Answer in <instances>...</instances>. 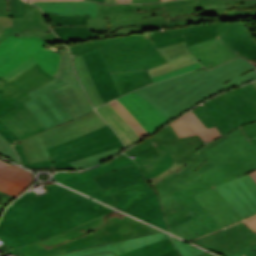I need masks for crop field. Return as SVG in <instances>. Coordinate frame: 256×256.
Segmentation results:
<instances>
[{
    "mask_svg": "<svg viewBox=\"0 0 256 256\" xmlns=\"http://www.w3.org/2000/svg\"><path fill=\"white\" fill-rule=\"evenodd\" d=\"M172 248L174 247L171 243V240L169 239L120 256H158Z\"/></svg>",
    "mask_w": 256,
    "mask_h": 256,
    "instance_id": "obj_43",
    "label": "crop field"
},
{
    "mask_svg": "<svg viewBox=\"0 0 256 256\" xmlns=\"http://www.w3.org/2000/svg\"><path fill=\"white\" fill-rule=\"evenodd\" d=\"M4 33L0 36V43L5 40L13 32V28L3 27Z\"/></svg>",
    "mask_w": 256,
    "mask_h": 256,
    "instance_id": "obj_59",
    "label": "crop field"
},
{
    "mask_svg": "<svg viewBox=\"0 0 256 256\" xmlns=\"http://www.w3.org/2000/svg\"><path fill=\"white\" fill-rule=\"evenodd\" d=\"M117 205L115 208L127 212L129 208L139 199L156 193L144 178L132 181L129 184L110 188Z\"/></svg>",
    "mask_w": 256,
    "mask_h": 256,
    "instance_id": "obj_26",
    "label": "crop field"
},
{
    "mask_svg": "<svg viewBox=\"0 0 256 256\" xmlns=\"http://www.w3.org/2000/svg\"><path fill=\"white\" fill-rule=\"evenodd\" d=\"M157 148L163 157L138 162L146 179L161 174L174 163L170 151L164 145Z\"/></svg>",
    "mask_w": 256,
    "mask_h": 256,
    "instance_id": "obj_39",
    "label": "crop field"
},
{
    "mask_svg": "<svg viewBox=\"0 0 256 256\" xmlns=\"http://www.w3.org/2000/svg\"><path fill=\"white\" fill-rule=\"evenodd\" d=\"M33 175L15 165L0 161V190L18 197L33 182Z\"/></svg>",
    "mask_w": 256,
    "mask_h": 256,
    "instance_id": "obj_25",
    "label": "crop field"
},
{
    "mask_svg": "<svg viewBox=\"0 0 256 256\" xmlns=\"http://www.w3.org/2000/svg\"><path fill=\"white\" fill-rule=\"evenodd\" d=\"M53 78L38 63L10 82L0 76V94L19 106L1 117L0 121L20 140L46 129L23 103L31 98L25 93Z\"/></svg>",
    "mask_w": 256,
    "mask_h": 256,
    "instance_id": "obj_7",
    "label": "crop field"
},
{
    "mask_svg": "<svg viewBox=\"0 0 256 256\" xmlns=\"http://www.w3.org/2000/svg\"><path fill=\"white\" fill-rule=\"evenodd\" d=\"M127 213L167 230L157 193L136 202Z\"/></svg>",
    "mask_w": 256,
    "mask_h": 256,
    "instance_id": "obj_29",
    "label": "crop field"
},
{
    "mask_svg": "<svg viewBox=\"0 0 256 256\" xmlns=\"http://www.w3.org/2000/svg\"><path fill=\"white\" fill-rule=\"evenodd\" d=\"M169 238H170L169 235H166L163 232H161L154 235L134 238V239L125 240L117 243H112V244L98 246L90 249L67 253L59 256H81V255L93 254V253L104 252V251H114V252H111L109 254H101L97 256H115V254L120 255V254L129 252L150 244H154Z\"/></svg>",
    "mask_w": 256,
    "mask_h": 256,
    "instance_id": "obj_24",
    "label": "crop field"
},
{
    "mask_svg": "<svg viewBox=\"0 0 256 256\" xmlns=\"http://www.w3.org/2000/svg\"><path fill=\"white\" fill-rule=\"evenodd\" d=\"M119 140L120 139L115 134V135H112L110 137L101 139L99 141H96V142L87 144L85 146L79 147V148L74 149V150H72L70 152H67L65 154H62V155L59 154L60 156L53 157V158H51V160L43 161V162H37V163H32V164L28 163V160L26 158V154H25V152L23 150V147H22L20 142L15 144L14 148L18 152V154H19V156H20V158H21V160L23 162V165H25V166H27L29 168H38V167H50V166H53L52 162H54V161H58V160H61V159H64V158H68V157L74 156L76 154H79V153H82V152H85V151H88V150H91V149H94V148H97V147H100V146H103V145H106V144H109V143H113V142H116V141H119Z\"/></svg>",
    "mask_w": 256,
    "mask_h": 256,
    "instance_id": "obj_35",
    "label": "crop field"
},
{
    "mask_svg": "<svg viewBox=\"0 0 256 256\" xmlns=\"http://www.w3.org/2000/svg\"><path fill=\"white\" fill-rule=\"evenodd\" d=\"M55 77L68 83L54 90V92L60 97L75 118L94 111L72 69L67 47L62 48L59 69Z\"/></svg>",
    "mask_w": 256,
    "mask_h": 256,
    "instance_id": "obj_13",
    "label": "crop field"
},
{
    "mask_svg": "<svg viewBox=\"0 0 256 256\" xmlns=\"http://www.w3.org/2000/svg\"><path fill=\"white\" fill-rule=\"evenodd\" d=\"M26 1H36V0H26Z\"/></svg>",
    "mask_w": 256,
    "mask_h": 256,
    "instance_id": "obj_73",
    "label": "crop field"
},
{
    "mask_svg": "<svg viewBox=\"0 0 256 256\" xmlns=\"http://www.w3.org/2000/svg\"><path fill=\"white\" fill-rule=\"evenodd\" d=\"M104 3H115V0H104Z\"/></svg>",
    "mask_w": 256,
    "mask_h": 256,
    "instance_id": "obj_66",
    "label": "crop field"
},
{
    "mask_svg": "<svg viewBox=\"0 0 256 256\" xmlns=\"http://www.w3.org/2000/svg\"><path fill=\"white\" fill-rule=\"evenodd\" d=\"M150 36L155 42L157 48L181 41H186L189 46L216 37L217 28L215 23L151 33Z\"/></svg>",
    "mask_w": 256,
    "mask_h": 256,
    "instance_id": "obj_20",
    "label": "crop field"
},
{
    "mask_svg": "<svg viewBox=\"0 0 256 256\" xmlns=\"http://www.w3.org/2000/svg\"><path fill=\"white\" fill-rule=\"evenodd\" d=\"M160 256H179V254L177 253L176 249L174 248Z\"/></svg>",
    "mask_w": 256,
    "mask_h": 256,
    "instance_id": "obj_61",
    "label": "crop field"
},
{
    "mask_svg": "<svg viewBox=\"0 0 256 256\" xmlns=\"http://www.w3.org/2000/svg\"><path fill=\"white\" fill-rule=\"evenodd\" d=\"M82 55L104 102L106 103L120 96L99 50L90 51Z\"/></svg>",
    "mask_w": 256,
    "mask_h": 256,
    "instance_id": "obj_21",
    "label": "crop field"
},
{
    "mask_svg": "<svg viewBox=\"0 0 256 256\" xmlns=\"http://www.w3.org/2000/svg\"><path fill=\"white\" fill-rule=\"evenodd\" d=\"M217 28L218 37L228 49L250 62L256 59V43L248 37L243 22L217 23Z\"/></svg>",
    "mask_w": 256,
    "mask_h": 256,
    "instance_id": "obj_19",
    "label": "crop field"
},
{
    "mask_svg": "<svg viewBox=\"0 0 256 256\" xmlns=\"http://www.w3.org/2000/svg\"><path fill=\"white\" fill-rule=\"evenodd\" d=\"M120 2H131V0H117L116 3H120Z\"/></svg>",
    "mask_w": 256,
    "mask_h": 256,
    "instance_id": "obj_67",
    "label": "crop field"
},
{
    "mask_svg": "<svg viewBox=\"0 0 256 256\" xmlns=\"http://www.w3.org/2000/svg\"><path fill=\"white\" fill-rule=\"evenodd\" d=\"M193 63H197V60L191 55H186L183 57H180L178 59H175L173 61H170L168 63H165L161 66H158L156 68L153 69H149L148 72L151 76V78L167 73L169 71L193 64Z\"/></svg>",
    "mask_w": 256,
    "mask_h": 256,
    "instance_id": "obj_41",
    "label": "crop field"
},
{
    "mask_svg": "<svg viewBox=\"0 0 256 256\" xmlns=\"http://www.w3.org/2000/svg\"><path fill=\"white\" fill-rule=\"evenodd\" d=\"M108 124L117 132L128 147L142 138L125 122L122 116L109 104L96 109Z\"/></svg>",
    "mask_w": 256,
    "mask_h": 256,
    "instance_id": "obj_31",
    "label": "crop field"
},
{
    "mask_svg": "<svg viewBox=\"0 0 256 256\" xmlns=\"http://www.w3.org/2000/svg\"><path fill=\"white\" fill-rule=\"evenodd\" d=\"M244 256V255H243Z\"/></svg>",
    "mask_w": 256,
    "mask_h": 256,
    "instance_id": "obj_76",
    "label": "crop field"
},
{
    "mask_svg": "<svg viewBox=\"0 0 256 256\" xmlns=\"http://www.w3.org/2000/svg\"><path fill=\"white\" fill-rule=\"evenodd\" d=\"M157 50L168 61L178 58L180 56L189 54L184 42L166 46V47H162V48H158Z\"/></svg>",
    "mask_w": 256,
    "mask_h": 256,
    "instance_id": "obj_48",
    "label": "crop field"
},
{
    "mask_svg": "<svg viewBox=\"0 0 256 256\" xmlns=\"http://www.w3.org/2000/svg\"><path fill=\"white\" fill-rule=\"evenodd\" d=\"M75 71L94 107L100 106L103 103L89 73L82 55L73 58Z\"/></svg>",
    "mask_w": 256,
    "mask_h": 256,
    "instance_id": "obj_40",
    "label": "crop field"
},
{
    "mask_svg": "<svg viewBox=\"0 0 256 256\" xmlns=\"http://www.w3.org/2000/svg\"><path fill=\"white\" fill-rule=\"evenodd\" d=\"M254 79L255 67L245 59L237 58L209 71L201 68L134 92L170 121L200 101Z\"/></svg>",
    "mask_w": 256,
    "mask_h": 256,
    "instance_id": "obj_3",
    "label": "crop field"
},
{
    "mask_svg": "<svg viewBox=\"0 0 256 256\" xmlns=\"http://www.w3.org/2000/svg\"><path fill=\"white\" fill-rule=\"evenodd\" d=\"M246 256H256V251L255 250H253V251H251V252H249V253H247V254H245Z\"/></svg>",
    "mask_w": 256,
    "mask_h": 256,
    "instance_id": "obj_65",
    "label": "crop field"
},
{
    "mask_svg": "<svg viewBox=\"0 0 256 256\" xmlns=\"http://www.w3.org/2000/svg\"><path fill=\"white\" fill-rule=\"evenodd\" d=\"M64 84L66 83L55 78L27 93L32 98L24 104L41 120L47 129L74 119L58 96L52 91Z\"/></svg>",
    "mask_w": 256,
    "mask_h": 256,
    "instance_id": "obj_11",
    "label": "crop field"
},
{
    "mask_svg": "<svg viewBox=\"0 0 256 256\" xmlns=\"http://www.w3.org/2000/svg\"><path fill=\"white\" fill-rule=\"evenodd\" d=\"M199 67H202L201 64H199V63L193 64V65H190V66H187V67H184V68H181V69H178V70L169 72V73H167V74L158 76V77H156V78H153V81H154V83H156V82H158V81H160V80H163V79H166V78L175 76V75H179V74H182V73L191 71V70L196 69V68H199Z\"/></svg>",
    "mask_w": 256,
    "mask_h": 256,
    "instance_id": "obj_52",
    "label": "crop field"
},
{
    "mask_svg": "<svg viewBox=\"0 0 256 256\" xmlns=\"http://www.w3.org/2000/svg\"><path fill=\"white\" fill-rule=\"evenodd\" d=\"M106 125L101 116L94 112L56 128L21 141L30 163L50 159L46 148L61 144L74 137L91 132Z\"/></svg>",
    "mask_w": 256,
    "mask_h": 256,
    "instance_id": "obj_10",
    "label": "crop field"
},
{
    "mask_svg": "<svg viewBox=\"0 0 256 256\" xmlns=\"http://www.w3.org/2000/svg\"><path fill=\"white\" fill-rule=\"evenodd\" d=\"M158 0H132V3L157 2Z\"/></svg>",
    "mask_w": 256,
    "mask_h": 256,
    "instance_id": "obj_62",
    "label": "crop field"
},
{
    "mask_svg": "<svg viewBox=\"0 0 256 256\" xmlns=\"http://www.w3.org/2000/svg\"><path fill=\"white\" fill-rule=\"evenodd\" d=\"M112 134H115V132L108 125H106L100 129H97V130L91 132V133L74 138L68 142L61 144V145L48 148L47 150H48L50 156L52 157V156H56V155L65 153V152L72 150L74 148H77L79 146L85 145L87 143L96 141L98 139L110 136Z\"/></svg>",
    "mask_w": 256,
    "mask_h": 256,
    "instance_id": "obj_38",
    "label": "crop field"
},
{
    "mask_svg": "<svg viewBox=\"0 0 256 256\" xmlns=\"http://www.w3.org/2000/svg\"><path fill=\"white\" fill-rule=\"evenodd\" d=\"M46 189L49 193L37 197L32 191L7 208L0 221L3 244L15 248L113 211L59 185H50Z\"/></svg>",
    "mask_w": 256,
    "mask_h": 256,
    "instance_id": "obj_2",
    "label": "crop field"
},
{
    "mask_svg": "<svg viewBox=\"0 0 256 256\" xmlns=\"http://www.w3.org/2000/svg\"><path fill=\"white\" fill-rule=\"evenodd\" d=\"M201 256H213V255H211V254H209V253H206V254L201 255Z\"/></svg>",
    "mask_w": 256,
    "mask_h": 256,
    "instance_id": "obj_68",
    "label": "crop field"
},
{
    "mask_svg": "<svg viewBox=\"0 0 256 256\" xmlns=\"http://www.w3.org/2000/svg\"><path fill=\"white\" fill-rule=\"evenodd\" d=\"M222 256L256 242V234L243 222L192 241Z\"/></svg>",
    "mask_w": 256,
    "mask_h": 256,
    "instance_id": "obj_15",
    "label": "crop field"
},
{
    "mask_svg": "<svg viewBox=\"0 0 256 256\" xmlns=\"http://www.w3.org/2000/svg\"><path fill=\"white\" fill-rule=\"evenodd\" d=\"M236 2L243 4H256V0H198L197 9L236 7Z\"/></svg>",
    "mask_w": 256,
    "mask_h": 256,
    "instance_id": "obj_45",
    "label": "crop field"
},
{
    "mask_svg": "<svg viewBox=\"0 0 256 256\" xmlns=\"http://www.w3.org/2000/svg\"><path fill=\"white\" fill-rule=\"evenodd\" d=\"M15 104L11 103L3 96L0 95V117L9 111L16 108ZM0 133L5 137V139L12 145L20 141L4 124L0 122Z\"/></svg>",
    "mask_w": 256,
    "mask_h": 256,
    "instance_id": "obj_44",
    "label": "crop field"
},
{
    "mask_svg": "<svg viewBox=\"0 0 256 256\" xmlns=\"http://www.w3.org/2000/svg\"><path fill=\"white\" fill-rule=\"evenodd\" d=\"M255 249L256 250V244H253L251 246H248L246 248H243V249H240L238 251H235L233 253H231L232 256H242L244 253L248 252V251H251Z\"/></svg>",
    "mask_w": 256,
    "mask_h": 256,
    "instance_id": "obj_57",
    "label": "crop field"
},
{
    "mask_svg": "<svg viewBox=\"0 0 256 256\" xmlns=\"http://www.w3.org/2000/svg\"><path fill=\"white\" fill-rule=\"evenodd\" d=\"M256 60L252 61L251 63L255 64ZM256 65V64H255Z\"/></svg>",
    "mask_w": 256,
    "mask_h": 256,
    "instance_id": "obj_71",
    "label": "crop field"
},
{
    "mask_svg": "<svg viewBox=\"0 0 256 256\" xmlns=\"http://www.w3.org/2000/svg\"><path fill=\"white\" fill-rule=\"evenodd\" d=\"M39 37L42 38L44 41L50 43L51 45L62 42L53 32Z\"/></svg>",
    "mask_w": 256,
    "mask_h": 256,
    "instance_id": "obj_54",
    "label": "crop field"
},
{
    "mask_svg": "<svg viewBox=\"0 0 256 256\" xmlns=\"http://www.w3.org/2000/svg\"><path fill=\"white\" fill-rule=\"evenodd\" d=\"M154 144L156 147L164 144L171 151L175 163L186 162L198 148L205 145L198 135L154 142Z\"/></svg>",
    "mask_w": 256,
    "mask_h": 256,
    "instance_id": "obj_33",
    "label": "crop field"
},
{
    "mask_svg": "<svg viewBox=\"0 0 256 256\" xmlns=\"http://www.w3.org/2000/svg\"><path fill=\"white\" fill-rule=\"evenodd\" d=\"M176 248L179 250V252L182 256H196V255L206 253V252H204L186 242L176 246Z\"/></svg>",
    "mask_w": 256,
    "mask_h": 256,
    "instance_id": "obj_50",
    "label": "crop field"
},
{
    "mask_svg": "<svg viewBox=\"0 0 256 256\" xmlns=\"http://www.w3.org/2000/svg\"><path fill=\"white\" fill-rule=\"evenodd\" d=\"M0 15L9 16L6 9V0H0Z\"/></svg>",
    "mask_w": 256,
    "mask_h": 256,
    "instance_id": "obj_60",
    "label": "crop field"
},
{
    "mask_svg": "<svg viewBox=\"0 0 256 256\" xmlns=\"http://www.w3.org/2000/svg\"><path fill=\"white\" fill-rule=\"evenodd\" d=\"M37 4L43 12L69 15L90 14L97 18V3L94 2H32Z\"/></svg>",
    "mask_w": 256,
    "mask_h": 256,
    "instance_id": "obj_32",
    "label": "crop field"
},
{
    "mask_svg": "<svg viewBox=\"0 0 256 256\" xmlns=\"http://www.w3.org/2000/svg\"><path fill=\"white\" fill-rule=\"evenodd\" d=\"M250 175L256 181V171L251 173ZM244 221L246 224H248L250 227H252L256 231V216L246 219Z\"/></svg>",
    "mask_w": 256,
    "mask_h": 256,
    "instance_id": "obj_56",
    "label": "crop field"
},
{
    "mask_svg": "<svg viewBox=\"0 0 256 256\" xmlns=\"http://www.w3.org/2000/svg\"><path fill=\"white\" fill-rule=\"evenodd\" d=\"M117 99L149 134L169 122L153 105L134 92Z\"/></svg>",
    "mask_w": 256,
    "mask_h": 256,
    "instance_id": "obj_18",
    "label": "crop field"
},
{
    "mask_svg": "<svg viewBox=\"0 0 256 256\" xmlns=\"http://www.w3.org/2000/svg\"><path fill=\"white\" fill-rule=\"evenodd\" d=\"M192 111L207 128L216 126L223 138L201 147L216 165L199 175L204 180L179 189L185 197L256 170V88L252 83Z\"/></svg>",
    "mask_w": 256,
    "mask_h": 256,
    "instance_id": "obj_1",
    "label": "crop field"
},
{
    "mask_svg": "<svg viewBox=\"0 0 256 256\" xmlns=\"http://www.w3.org/2000/svg\"><path fill=\"white\" fill-rule=\"evenodd\" d=\"M244 27H245V29H246V31H247L249 37H250L251 39H253V40L256 42V39L253 38V37L250 35V33H249L248 29H247V26H246V22H244Z\"/></svg>",
    "mask_w": 256,
    "mask_h": 256,
    "instance_id": "obj_64",
    "label": "crop field"
},
{
    "mask_svg": "<svg viewBox=\"0 0 256 256\" xmlns=\"http://www.w3.org/2000/svg\"><path fill=\"white\" fill-rule=\"evenodd\" d=\"M183 164V163H180ZM180 164H174L161 175L148 179L149 183L158 191L169 229L192 218L172 197L171 192L202 180L198 175L215 165L201 150L189 166L177 174L170 170L178 169Z\"/></svg>",
    "mask_w": 256,
    "mask_h": 256,
    "instance_id": "obj_8",
    "label": "crop field"
},
{
    "mask_svg": "<svg viewBox=\"0 0 256 256\" xmlns=\"http://www.w3.org/2000/svg\"><path fill=\"white\" fill-rule=\"evenodd\" d=\"M171 237H172V236H171ZM172 240H173L175 246L183 242V241H181V240H179V239H176V238H174V237H172Z\"/></svg>",
    "mask_w": 256,
    "mask_h": 256,
    "instance_id": "obj_63",
    "label": "crop field"
},
{
    "mask_svg": "<svg viewBox=\"0 0 256 256\" xmlns=\"http://www.w3.org/2000/svg\"><path fill=\"white\" fill-rule=\"evenodd\" d=\"M120 95L153 84L147 70L111 73Z\"/></svg>",
    "mask_w": 256,
    "mask_h": 256,
    "instance_id": "obj_36",
    "label": "crop field"
},
{
    "mask_svg": "<svg viewBox=\"0 0 256 256\" xmlns=\"http://www.w3.org/2000/svg\"><path fill=\"white\" fill-rule=\"evenodd\" d=\"M97 48L110 72L144 70L167 62L157 52L149 34L82 43L69 49L76 56Z\"/></svg>",
    "mask_w": 256,
    "mask_h": 256,
    "instance_id": "obj_6",
    "label": "crop field"
},
{
    "mask_svg": "<svg viewBox=\"0 0 256 256\" xmlns=\"http://www.w3.org/2000/svg\"><path fill=\"white\" fill-rule=\"evenodd\" d=\"M256 233V232H255Z\"/></svg>",
    "mask_w": 256,
    "mask_h": 256,
    "instance_id": "obj_75",
    "label": "crop field"
},
{
    "mask_svg": "<svg viewBox=\"0 0 256 256\" xmlns=\"http://www.w3.org/2000/svg\"><path fill=\"white\" fill-rule=\"evenodd\" d=\"M170 124L179 137L198 134L207 143L222 137L216 127L207 129L192 111Z\"/></svg>",
    "mask_w": 256,
    "mask_h": 256,
    "instance_id": "obj_27",
    "label": "crop field"
},
{
    "mask_svg": "<svg viewBox=\"0 0 256 256\" xmlns=\"http://www.w3.org/2000/svg\"><path fill=\"white\" fill-rule=\"evenodd\" d=\"M172 195L194 217L170 229L172 233L191 240L222 228L193 196L185 198L178 190L173 192ZM195 234H198V236H195Z\"/></svg>",
    "mask_w": 256,
    "mask_h": 256,
    "instance_id": "obj_14",
    "label": "crop field"
},
{
    "mask_svg": "<svg viewBox=\"0 0 256 256\" xmlns=\"http://www.w3.org/2000/svg\"><path fill=\"white\" fill-rule=\"evenodd\" d=\"M188 48L196 59L207 69H211L238 57V55L228 50L220 42L218 37L189 46Z\"/></svg>",
    "mask_w": 256,
    "mask_h": 256,
    "instance_id": "obj_23",
    "label": "crop field"
},
{
    "mask_svg": "<svg viewBox=\"0 0 256 256\" xmlns=\"http://www.w3.org/2000/svg\"><path fill=\"white\" fill-rule=\"evenodd\" d=\"M122 149H123V147L119 148V149H115V150L106 151V152L100 153L98 155H95V156H92L89 158H85L83 160L71 162V164L73 165L74 168H78V169L87 168L88 166H93L97 163L105 161L107 158L121 152Z\"/></svg>",
    "mask_w": 256,
    "mask_h": 256,
    "instance_id": "obj_46",
    "label": "crop field"
},
{
    "mask_svg": "<svg viewBox=\"0 0 256 256\" xmlns=\"http://www.w3.org/2000/svg\"><path fill=\"white\" fill-rule=\"evenodd\" d=\"M126 120V122L143 138L148 133L138 123V121L118 102L117 99L109 102Z\"/></svg>",
    "mask_w": 256,
    "mask_h": 256,
    "instance_id": "obj_47",
    "label": "crop field"
},
{
    "mask_svg": "<svg viewBox=\"0 0 256 256\" xmlns=\"http://www.w3.org/2000/svg\"><path fill=\"white\" fill-rule=\"evenodd\" d=\"M122 146H123L122 142L119 141V142H116V143H113V144H109V145H106V146H103V147H100V148H97V149L79 154L77 156H74V157H71V158H68V159H64V160H61V161H58V162H54L53 165L57 168V170H59V169H73V170H75L69 162L79 160V159L84 158V157L92 156V155L98 154L100 152L109 150V149L119 148V147H122Z\"/></svg>",
    "mask_w": 256,
    "mask_h": 256,
    "instance_id": "obj_42",
    "label": "crop field"
},
{
    "mask_svg": "<svg viewBox=\"0 0 256 256\" xmlns=\"http://www.w3.org/2000/svg\"><path fill=\"white\" fill-rule=\"evenodd\" d=\"M3 33L2 27H0V35Z\"/></svg>",
    "mask_w": 256,
    "mask_h": 256,
    "instance_id": "obj_69",
    "label": "crop field"
},
{
    "mask_svg": "<svg viewBox=\"0 0 256 256\" xmlns=\"http://www.w3.org/2000/svg\"><path fill=\"white\" fill-rule=\"evenodd\" d=\"M25 3V18H14V33L21 35H39L51 31L36 6Z\"/></svg>",
    "mask_w": 256,
    "mask_h": 256,
    "instance_id": "obj_28",
    "label": "crop field"
},
{
    "mask_svg": "<svg viewBox=\"0 0 256 256\" xmlns=\"http://www.w3.org/2000/svg\"><path fill=\"white\" fill-rule=\"evenodd\" d=\"M163 8L161 3L147 5L119 4L102 5L98 3V18L109 17L110 24L122 20L137 19L136 10Z\"/></svg>",
    "mask_w": 256,
    "mask_h": 256,
    "instance_id": "obj_30",
    "label": "crop field"
},
{
    "mask_svg": "<svg viewBox=\"0 0 256 256\" xmlns=\"http://www.w3.org/2000/svg\"><path fill=\"white\" fill-rule=\"evenodd\" d=\"M141 177H143V174L141 173L137 164L134 163L118 171L97 176L95 177V180L102 189L106 187H115L117 185L125 184Z\"/></svg>",
    "mask_w": 256,
    "mask_h": 256,
    "instance_id": "obj_37",
    "label": "crop field"
},
{
    "mask_svg": "<svg viewBox=\"0 0 256 256\" xmlns=\"http://www.w3.org/2000/svg\"><path fill=\"white\" fill-rule=\"evenodd\" d=\"M0 154L10 158L11 160L20 164V161L14 152L12 146L0 134Z\"/></svg>",
    "mask_w": 256,
    "mask_h": 256,
    "instance_id": "obj_49",
    "label": "crop field"
},
{
    "mask_svg": "<svg viewBox=\"0 0 256 256\" xmlns=\"http://www.w3.org/2000/svg\"><path fill=\"white\" fill-rule=\"evenodd\" d=\"M10 16L11 17H24V2L21 0H10Z\"/></svg>",
    "mask_w": 256,
    "mask_h": 256,
    "instance_id": "obj_51",
    "label": "crop field"
},
{
    "mask_svg": "<svg viewBox=\"0 0 256 256\" xmlns=\"http://www.w3.org/2000/svg\"><path fill=\"white\" fill-rule=\"evenodd\" d=\"M35 63H37L33 58L30 59L29 61H27L26 63L22 64L21 66H19L18 68L14 69L13 71H11L9 74H7L5 77L6 80H11L12 78H14L15 76L19 75L20 73H22L23 71H25L26 69H28L29 67H31L32 65H34ZM10 82V81H9Z\"/></svg>",
    "mask_w": 256,
    "mask_h": 256,
    "instance_id": "obj_53",
    "label": "crop field"
},
{
    "mask_svg": "<svg viewBox=\"0 0 256 256\" xmlns=\"http://www.w3.org/2000/svg\"><path fill=\"white\" fill-rule=\"evenodd\" d=\"M102 217L46 241L15 248V250L19 256H51L105 242H116L159 232L127 216L122 220L113 217L107 222L103 221Z\"/></svg>",
    "mask_w": 256,
    "mask_h": 256,
    "instance_id": "obj_4",
    "label": "crop field"
},
{
    "mask_svg": "<svg viewBox=\"0 0 256 256\" xmlns=\"http://www.w3.org/2000/svg\"><path fill=\"white\" fill-rule=\"evenodd\" d=\"M132 163H134V161L131 158L121 154L116 159L83 173H57L55 174L54 178L70 187H73L99 201L114 207L117 203L109 188L101 190L93 177L103 173H108L110 171L118 170Z\"/></svg>",
    "mask_w": 256,
    "mask_h": 256,
    "instance_id": "obj_12",
    "label": "crop field"
},
{
    "mask_svg": "<svg viewBox=\"0 0 256 256\" xmlns=\"http://www.w3.org/2000/svg\"><path fill=\"white\" fill-rule=\"evenodd\" d=\"M194 197L205 206L223 228L243 220L214 187L204 190Z\"/></svg>",
    "mask_w": 256,
    "mask_h": 256,
    "instance_id": "obj_22",
    "label": "crop field"
},
{
    "mask_svg": "<svg viewBox=\"0 0 256 256\" xmlns=\"http://www.w3.org/2000/svg\"><path fill=\"white\" fill-rule=\"evenodd\" d=\"M95 1L103 3V0H95Z\"/></svg>",
    "mask_w": 256,
    "mask_h": 256,
    "instance_id": "obj_70",
    "label": "crop field"
},
{
    "mask_svg": "<svg viewBox=\"0 0 256 256\" xmlns=\"http://www.w3.org/2000/svg\"><path fill=\"white\" fill-rule=\"evenodd\" d=\"M215 188L244 219L256 214V183L249 174Z\"/></svg>",
    "mask_w": 256,
    "mask_h": 256,
    "instance_id": "obj_16",
    "label": "crop field"
},
{
    "mask_svg": "<svg viewBox=\"0 0 256 256\" xmlns=\"http://www.w3.org/2000/svg\"><path fill=\"white\" fill-rule=\"evenodd\" d=\"M159 1H166V0H159Z\"/></svg>",
    "mask_w": 256,
    "mask_h": 256,
    "instance_id": "obj_74",
    "label": "crop field"
},
{
    "mask_svg": "<svg viewBox=\"0 0 256 256\" xmlns=\"http://www.w3.org/2000/svg\"><path fill=\"white\" fill-rule=\"evenodd\" d=\"M0 26L13 27V18L0 16Z\"/></svg>",
    "mask_w": 256,
    "mask_h": 256,
    "instance_id": "obj_58",
    "label": "crop field"
},
{
    "mask_svg": "<svg viewBox=\"0 0 256 256\" xmlns=\"http://www.w3.org/2000/svg\"><path fill=\"white\" fill-rule=\"evenodd\" d=\"M52 30L63 40L65 43L73 42L82 39H90L91 37L100 34L87 31V16H69V15H55L45 13Z\"/></svg>",
    "mask_w": 256,
    "mask_h": 256,
    "instance_id": "obj_17",
    "label": "crop field"
},
{
    "mask_svg": "<svg viewBox=\"0 0 256 256\" xmlns=\"http://www.w3.org/2000/svg\"><path fill=\"white\" fill-rule=\"evenodd\" d=\"M13 199H14V197H12L6 193L0 192V214L3 210V208L5 207V205Z\"/></svg>",
    "mask_w": 256,
    "mask_h": 256,
    "instance_id": "obj_55",
    "label": "crop field"
},
{
    "mask_svg": "<svg viewBox=\"0 0 256 256\" xmlns=\"http://www.w3.org/2000/svg\"><path fill=\"white\" fill-rule=\"evenodd\" d=\"M253 84L255 85V87H256V81L255 82H253Z\"/></svg>",
    "mask_w": 256,
    "mask_h": 256,
    "instance_id": "obj_72",
    "label": "crop field"
},
{
    "mask_svg": "<svg viewBox=\"0 0 256 256\" xmlns=\"http://www.w3.org/2000/svg\"><path fill=\"white\" fill-rule=\"evenodd\" d=\"M197 0H178L162 3L164 9L137 11L138 20L109 25L106 19H89L88 30L102 35L95 38L124 35L145 29L166 28L214 19L256 17V10H210L196 13ZM94 39V38H92Z\"/></svg>",
    "mask_w": 256,
    "mask_h": 256,
    "instance_id": "obj_5",
    "label": "crop field"
},
{
    "mask_svg": "<svg viewBox=\"0 0 256 256\" xmlns=\"http://www.w3.org/2000/svg\"><path fill=\"white\" fill-rule=\"evenodd\" d=\"M44 42L37 36L17 37L14 33L0 44V75L3 77L11 70L30 58H34L47 72L54 75L60 55L44 49Z\"/></svg>",
    "mask_w": 256,
    "mask_h": 256,
    "instance_id": "obj_9",
    "label": "crop field"
},
{
    "mask_svg": "<svg viewBox=\"0 0 256 256\" xmlns=\"http://www.w3.org/2000/svg\"><path fill=\"white\" fill-rule=\"evenodd\" d=\"M177 137L178 135L173 131V128L169 124L168 126L161 129L159 132H157L155 135L148 137L145 141L139 143L131 150L125 152V154L135 155L136 157L133 158L135 161L160 157L161 154L151 142Z\"/></svg>",
    "mask_w": 256,
    "mask_h": 256,
    "instance_id": "obj_34",
    "label": "crop field"
}]
</instances>
